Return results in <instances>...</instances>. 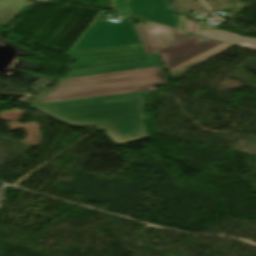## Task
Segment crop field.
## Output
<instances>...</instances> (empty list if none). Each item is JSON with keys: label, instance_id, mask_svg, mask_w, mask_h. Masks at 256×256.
I'll return each mask as SVG.
<instances>
[{"label": "crop field", "instance_id": "obj_1", "mask_svg": "<svg viewBox=\"0 0 256 256\" xmlns=\"http://www.w3.org/2000/svg\"><path fill=\"white\" fill-rule=\"evenodd\" d=\"M147 92L30 106L40 113L71 126H95L109 139L124 145L150 138L142 107Z\"/></svg>", "mask_w": 256, "mask_h": 256}, {"label": "crop field", "instance_id": "obj_2", "mask_svg": "<svg viewBox=\"0 0 256 256\" xmlns=\"http://www.w3.org/2000/svg\"><path fill=\"white\" fill-rule=\"evenodd\" d=\"M163 82L165 81L158 67L68 78L39 102L137 93Z\"/></svg>", "mask_w": 256, "mask_h": 256}, {"label": "crop field", "instance_id": "obj_3", "mask_svg": "<svg viewBox=\"0 0 256 256\" xmlns=\"http://www.w3.org/2000/svg\"><path fill=\"white\" fill-rule=\"evenodd\" d=\"M200 37L193 35L184 38L158 52L172 76V81L192 67L232 46L208 38L196 41ZM198 42L203 43L199 45Z\"/></svg>", "mask_w": 256, "mask_h": 256}, {"label": "crop field", "instance_id": "obj_4", "mask_svg": "<svg viewBox=\"0 0 256 256\" xmlns=\"http://www.w3.org/2000/svg\"><path fill=\"white\" fill-rule=\"evenodd\" d=\"M141 45L132 23L96 19L72 51Z\"/></svg>", "mask_w": 256, "mask_h": 256}, {"label": "crop field", "instance_id": "obj_5", "mask_svg": "<svg viewBox=\"0 0 256 256\" xmlns=\"http://www.w3.org/2000/svg\"><path fill=\"white\" fill-rule=\"evenodd\" d=\"M127 5L133 18L176 29L178 16L166 0H130Z\"/></svg>", "mask_w": 256, "mask_h": 256}, {"label": "crop field", "instance_id": "obj_6", "mask_svg": "<svg viewBox=\"0 0 256 256\" xmlns=\"http://www.w3.org/2000/svg\"><path fill=\"white\" fill-rule=\"evenodd\" d=\"M136 28L146 54L155 53L156 50L188 34L149 22L148 25H136Z\"/></svg>", "mask_w": 256, "mask_h": 256}, {"label": "crop field", "instance_id": "obj_7", "mask_svg": "<svg viewBox=\"0 0 256 256\" xmlns=\"http://www.w3.org/2000/svg\"><path fill=\"white\" fill-rule=\"evenodd\" d=\"M147 57H148L149 61L142 62V63H133V64H124V65H115V66H106V67H97V68H89V69L70 71L66 77L162 65L157 55H152V56H147Z\"/></svg>", "mask_w": 256, "mask_h": 256}, {"label": "crop field", "instance_id": "obj_8", "mask_svg": "<svg viewBox=\"0 0 256 256\" xmlns=\"http://www.w3.org/2000/svg\"><path fill=\"white\" fill-rule=\"evenodd\" d=\"M202 35L256 50V39L241 38L233 33H225L220 30H216V31L203 30Z\"/></svg>", "mask_w": 256, "mask_h": 256}, {"label": "crop field", "instance_id": "obj_9", "mask_svg": "<svg viewBox=\"0 0 256 256\" xmlns=\"http://www.w3.org/2000/svg\"><path fill=\"white\" fill-rule=\"evenodd\" d=\"M127 1L128 0H113L116 13L129 16L128 9L126 6Z\"/></svg>", "mask_w": 256, "mask_h": 256}]
</instances>
